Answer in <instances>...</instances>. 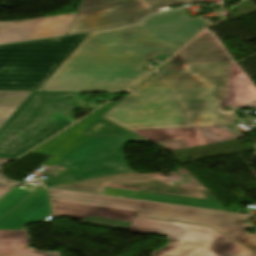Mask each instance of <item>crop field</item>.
I'll use <instances>...</instances> for the list:
<instances>
[{
  "instance_id": "d1516ede",
  "label": "crop field",
  "mask_w": 256,
  "mask_h": 256,
  "mask_svg": "<svg viewBox=\"0 0 256 256\" xmlns=\"http://www.w3.org/2000/svg\"><path fill=\"white\" fill-rule=\"evenodd\" d=\"M102 194L226 210L225 207L222 204H220L219 202L182 198V197H175V196H167V195H160V194H152V193H145V192H138V191H130V190L111 188V187H105Z\"/></svg>"
},
{
  "instance_id": "d9b57169",
  "label": "crop field",
  "mask_w": 256,
  "mask_h": 256,
  "mask_svg": "<svg viewBox=\"0 0 256 256\" xmlns=\"http://www.w3.org/2000/svg\"><path fill=\"white\" fill-rule=\"evenodd\" d=\"M38 187H30L25 190L14 188L6 196L0 200V217L3 218L30 194H32Z\"/></svg>"
},
{
  "instance_id": "8a807250",
  "label": "crop field",
  "mask_w": 256,
  "mask_h": 256,
  "mask_svg": "<svg viewBox=\"0 0 256 256\" xmlns=\"http://www.w3.org/2000/svg\"><path fill=\"white\" fill-rule=\"evenodd\" d=\"M207 25L179 9L130 27L0 46V89L128 92L153 58L173 54Z\"/></svg>"
},
{
  "instance_id": "bc2a9ffb",
  "label": "crop field",
  "mask_w": 256,
  "mask_h": 256,
  "mask_svg": "<svg viewBox=\"0 0 256 256\" xmlns=\"http://www.w3.org/2000/svg\"><path fill=\"white\" fill-rule=\"evenodd\" d=\"M0 220H1V218H0Z\"/></svg>"
},
{
  "instance_id": "dd49c442",
  "label": "crop field",
  "mask_w": 256,
  "mask_h": 256,
  "mask_svg": "<svg viewBox=\"0 0 256 256\" xmlns=\"http://www.w3.org/2000/svg\"><path fill=\"white\" fill-rule=\"evenodd\" d=\"M220 0H83L69 34L135 23L163 6Z\"/></svg>"
},
{
  "instance_id": "34b2d1b8",
  "label": "crop field",
  "mask_w": 256,
  "mask_h": 256,
  "mask_svg": "<svg viewBox=\"0 0 256 256\" xmlns=\"http://www.w3.org/2000/svg\"><path fill=\"white\" fill-rule=\"evenodd\" d=\"M114 104H108L34 150L53 155L44 163L47 165L44 172L54 175L69 171L78 181L131 172L123 160L122 148L129 141L147 140L130 131L123 138L85 137L82 133Z\"/></svg>"
},
{
  "instance_id": "5142ce71",
  "label": "crop field",
  "mask_w": 256,
  "mask_h": 256,
  "mask_svg": "<svg viewBox=\"0 0 256 256\" xmlns=\"http://www.w3.org/2000/svg\"><path fill=\"white\" fill-rule=\"evenodd\" d=\"M125 130L124 127L101 116L83 133L85 136L122 137Z\"/></svg>"
},
{
  "instance_id": "412701ff",
  "label": "crop field",
  "mask_w": 256,
  "mask_h": 256,
  "mask_svg": "<svg viewBox=\"0 0 256 256\" xmlns=\"http://www.w3.org/2000/svg\"><path fill=\"white\" fill-rule=\"evenodd\" d=\"M79 94L32 92L0 128V157L15 158L75 122Z\"/></svg>"
},
{
  "instance_id": "4a817a6b",
  "label": "crop field",
  "mask_w": 256,
  "mask_h": 256,
  "mask_svg": "<svg viewBox=\"0 0 256 256\" xmlns=\"http://www.w3.org/2000/svg\"><path fill=\"white\" fill-rule=\"evenodd\" d=\"M2 165V162L0 161V166Z\"/></svg>"
},
{
  "instance_id": "cbeb9de0",
  "label": "crop field",
  "mask_w": 256,
  "mask_h": 256,
  "mask_svg": "<svg viewBox=\"0 0 256 256\" xmlns=\"http://www.w3.org/2000/svg\"><path fill=\"white\" fill-rule=\"evenodd\" d=\"M49 190H50L51 196H55V197H64V198L89 200V201L104 202V203H111V204H119V205H125V206L136 207V208H139L140 205L142 204V202L140 201L80 194V193H73V192H66V191H59V190H52V189H49Z\"/></svg>"
},
{
  "instance_id": "5a996713",
  "label": "crop field",
  "mask_w": 256,
  "mask_h": 256,
  "mask_svg": "<svg viewBox=\"0 0 256 256\" xmlns=\"http://www.w3.org/2000/svg\"><path fill=\"white\" fill-rule=\"evenodd\" d=\"M105 186L217 201L213 195L205 189L171 186L162 178L132 173L74 182L51 188L101 194Z\"/></svg>"
},
{
  "instance_id": "f4fd0767",
  "label": "crop field",
  "mask_w": 256,
  "mask_h": 256,
  "mask_svg": "<svg viewBox=\"0 0 256 256\" xmlns=\"http://www.w3.org/2000/svg\"><path fill=\"white\" fill-rule=\"evenodd\" d=\"M133 232L167 236L169 243L151 256H251L249 249L202 226L136 217Z\"/></svg>"
},
{
  "instance_id": "22f410ed",
  "label": "crop field",
  "mask_w": 256,
  "mask_h": 256,
  "mask_svg": "<svg viewBox=\"0 0 256 256\" xmlns=\"http://www.w3.org/2000/svg\"><path fill=\"white\" fill-rule=\"evenodd\" d=\"M31 92H1L0 91V127L21 105Z\"/></svg>"
},
{
  "instance_id": "e52e79f7",
  "label": "crop field",
  "mask_w": 256,
  "mask_h": 256,
  "mask_svg": "<svg viewBox=\"0 0 256 256\" xmlns=\"http://www.w3.org/2000/svg\"><path fill=\"white\" fill-rule=\"evenodd\" d=\"M138 216L207 225L256 251V235L244 232V228L252 227L242 223L252 216L148 202H144Z\"/></svg>"
},
{
  "instance_id": "d8731c3e",
  "label": "crop field",
  "mask_w": 256,
  "mask_h": 256,
  "mask_svg": "<svg viewBox=\"0 0 256 256\" xmlns=\"http://www.w3.org/2000/svg\"><path fill=\"white\" fill-rule=\"evenodd\" d=\"M50 214L45 188H41L0 222V256H60L58 252L35 251L29 247L22 225L43 220Z\"/></svg>"
},
{
  "instance_id": "ac0d7876",
  "label": "crop field",
  "mask_w": 256,
  "mask_h": 256,
  "mask_svg": "<svg viewBox=\"0 0 256 256\" xmlns=\"http://www.w3.org/2000/svg\"><path fill=\"white\" fill-rule=\"evenodd\" d=\"M230 64L204 32L102 116L128 130L232 124L221 111Z\"/></svg>"
},
{
  "instance_id": "733c2abd",
  "label": "crop field",
  "mask_w": 256,
  "mask_h": 256,
  "mask_svg": "<svg viewBox=\"0 0 256 256\" xmlns=\"http://www.w3.org/2000/svg\"><path fill=\"white\" fill-rule=\"evenodd\" d=\"M0 182L1 183H5V184H8V185H12L14 186L15 184L13 183H10L8 181H4L1 177H0ZM12 187H8V186H5L3 184H0V197L5 194L7 191H9Z\"/></svg>"
},
{
  "instance_id": "3316defc",
  "label": "crop field",
  "mask_w": 256,
  "mask_h": 256,
  "mask_svg": "<svg viewBox=\"0 0 256 256\" xmlns=\"http://www.w3.org/2000/svg\"><path fill=\"white\" fill-rule=\"evenodd\" d=\"M53 214L57 217L84 220L85 224L128 229L138 211L93 203L51 198Z\"/></svg>"
},
{
  "instance_id": "28ad6ade",
  "label": "crop field",
  "mask_w": 256,
  "mask_h": 256,
  "mask_svg": "<svg viewBox=\"0 0 256 256\" xmlns=\"http://www.w3.org/2000/svg\"><path fill=\"white\" fill-rule=\"evenodd\" d=\"M75 14L0 23V44L65 35Z\"/></svg>"
}]
</instances>
